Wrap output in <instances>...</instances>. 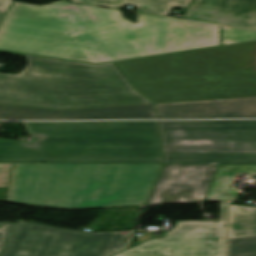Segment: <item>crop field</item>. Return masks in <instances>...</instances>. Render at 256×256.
Here are the masks:
<instances>
[{
    "label": "crop field",
    "mask_w": 256,
    "mask_h": 256,
    "mask_svg": "<svg viewBox=\"0 0 256 256\" xmlns=\"http://www.w3.org/2000/svg\"><path fill=\"white\" fill-rule=\"evenodd\" d=\"M228 256H256V237L229 239Z\"/></svg>",
    "instance_id": "obj_17"
},
{
    "label": "crop field",
    "mask_w": 256,
    "mask_h": 256,
    "mask_svg": "<svg viewBox=\"0 0 256 256\" xmlns=\"http://www.w3.org/2000/svg\"><path fill=\"white\" fill-rule=\"evenodd\" d=\"M4 16H5V15L0 14V23H1L2 19L4 18Z\"/></svg>",
    "instance_id": "obj_22"
},
{
    "label": "crop field",
    "mask_w": 256,
    "mask_h": 256,
    "mask_svg": "<svg viewBox=\"0 0 256 256\" xmlns=\"http://www.w3.org/2000/svg\"><path fill=\"white\" fill-rule=\"evenodd\" d=\"M26 55L17 75L0 74V104L81 109L151 103L113 63L91 65Z\"/></svg>",
    "instance_id": "obj_4"
},
{
    "label": "crop field",
    "mask_w": 256,
    "mask_h": 256,
    "mask_svg": "<svg viewBox=\"0 0 256 256\" xmlns=\"http://www.w3.org/2000/svg\"><path fill=\"white\" fill-rule=\"evenodd\" d=\"M256 40V31L222 26V45L244 43Z\"/></svg>",
    "instance_id": "obj_18"
},
{
    "label": "crop field",
    "mask_w": 256,
    "mask_h": 256,
    "mask_svg": "<svg viewBox=\"0 0 256 256\" xmlns=\"http://www.w3.org/2000/svg\"><path fill=\"white\" fill-rule=\"evenodd\" d=\"M254 42L115 62L154 103L256 96Z\"/></svg>",
    "instance_id": "obj_3"
},
{
    "label": "crop field",
    "mask_w": 256,
    "mask_h": 256,
    "mask_svg": "<svg viewBox=\"0 0 256 256\" xmlns=\"http://www.w3.org/2000/svg\"><path fill=\"white\" fill-rule=\"evenodd\" d=\"M182 18L256 29V0H194Z\"/></svg>",
    "instance_id": "obj_12"
},
{
    "label": "crop field",
    "mask_w": 256,
    "mask_h": 256,
    "mask_svg": "<svg viewBox=\"0 0 256 256\" xmlns=\"http://www.w3.org/2000/svg\"><path fill=\"white\" fill-rule=\"evenodd\" d=\"M49 162L163 163L158 121L49 122Z\"/></svg>",
    "instance_id": "obj_5"
},
{
    "label": "crop field",
    "mask_w": 256,
    "mask_h": 256,
    "mask_svg": "<svg viewBox=\"0 0 256 256\" xmlns=\"http://www.w3.org/2000/svg\"><path fill=\"white\" fill-rule=\"evenodd\" d=\"M13 164H0V188H8V181Z\"/></svg>",
    "instance_id": "obj_20"
},
{
    "label": "crop field",
    "mask_w": 256,
    "mask_h": 256,
    "mask_svg": "<svg viewBox=\"0 0 256 256\" xmlns=\"http://www.w3.org/2000/svg\"><path fill=\"white\" fill-rule=\"evenodd\" d=\"M31 143L0 139V162H48V122H23Z\"/></svg>",
    "instance_id": "obj_13"
},
{
    "label": "crop field",
    "mask_w": 256,
    "mask_h": 256,
    "mask_svg": "<svg viewBox=\"0 0 256 256\" xmlns=\"http://www.w3.org/2000/svg\"><path fill=\"white\" fill-rule=\"evenodd\" d=\"M256 236V208L230 205L229 238Z\"/></svg>",
    "instance_id": "obj_16"
},
{
    "label": "crop field",
    "mask_w": 256,
    "mask_h": 256,
    "mask_svg": "<svg viewBox=\"0 0 256 256\" xmlns=\"http://www.w3.org/2000/svg\"><path fill=\"white\" fill-rule=\"evenodd\" d=\"M162 165L14 163L5 201L61 209L145 205Z\"/></svg>",
    "instance_id": "obj_2"
},
{
    "label": "crop field",
    "mask_w": 256,
    "mask_h": 256,
    "mask_svg": "<svg viewBox=\"0 0 256 256\" xmlns=\"http://www.w3.org/2000/svg\"><path fill=\"white\" fill-rule=\"evenodd\" d=\"M217 166L165 164L147 205L202 201Z\"/></svg>",
    "instance_id": "obj_9"
},
{
    "label": "crop field",
    "mask_w": 256,
    "mask_h": 256,
    "mask_svg": "<svg viewBox=\"0 0 256 256\" xmlns=\"http://www.w3.org/2000/svg\"><path fill=\"white\" fill-rule=\"evenodd\" d=\"M165 163L256 164V121L159 122Z\"/></svg>",
    "instance_id": "obj_6"
},
{
    "label": "crop field",
    "mask_w": 256,
    "mask_h": 256,
    "mask_svg": "<svg viewBox=\"0 0 256 256\" xmlns=\"http://www.w3.org/2000/svg\"><path fill=\"white\" fill-rule=\"evenodd\" d=\"M16 224L0 223V256L15 228Z\"/></svg>",
    "instance_id": "obj_19"
},
{
    "label": "crop field",
    "mask_w": 256,
    "mask_h": 256,
    "mask_svg": "<svg viewBox=\"0 0 256 256\" xmlns=\"http://www.w3.org/2000/svg\"><path fill=\"white\" fill-rule=\"evenodd\" d=\"M158 118H256V97L155 104Z\"/></svg>",
    "instance_id": "obj_11"
},
{
    "label": "crop field",
    "mask_w": 256,
    "mask_h": 256,
    "mask_svg": "<svg viewBox=\"0 0 256 256\" xmlns=\"http://www.w3.org/2000/svg\"><path fill=\"white\" fill-rule=\"evenodd\" d=\"M227 202L219 221H177L164 238H151L113 256H225Z\"/></svg>",
    "instance_id": "obj_8"
},
{
    "label": "crop field",
    "mask_w": 256,
    "mask_h": 256,
    "mask_svg": "<svg viewBox=\"0 0 256 256\" xmlns=\"http://www.w3.org/2000/svg\"><path fill=\"white\" fill-rule=\"evenodd\" d=\"M1 54H7V55H13V56H19V57H25L24 54L20 53H13V52H6V51H0Z\"/></svg>",
    "instance_id": "obj_21"
},
{
    "label": "crop field",
    "mask_w": 256,
    "mask_h": 256,
    "mask_svg": "<svg viewBox=\"0 0 256 256\" xmlns=\"http://www.w3.org/2000/svg\"><path fill=\"white\" fill-rule=\"evenodd\" d=\"M240 172L256 177V165H220L205 201L238 199L240 193L228 188L235 175Z\"/></svg>",
    "instance_id": "obj_15"
},
{
    "label": "crop field",
    "mask_w": 256,
    "mask_h": 256,
    "mask_svg": "<svg viewBox=\"0 0 256 256\" xmlns=\"http://www.w3.org/2000/svg\"><path fill=\"white\" fill-rule=\"evenodd\" d=\"M145 118H156L153 104L81 110H49L0 105L1 120Z\"/></svg>",
    "instance_id": "obj_10"
},
{
    "label": "crop field",
    "mask_w": 256,
    "mask_h": 256,
    "mask_svg": "<svg viewBox=\"0 0 256 256\" xmlns=\"http://www.w3.org/2000/svg\"><path fill=\"white\" fill-rule=\"evenodd\" d=\"M13 0H0V13L5 14ZM193 0H72L74 3L119 8L126 4L139 12L168 16L173 7L188 9Z\"/></svg>",
    "instance_id": "obj_14"
},
{
    "label": "crop field",
    "mask_w": 256,
    "mask_h": 256,
    "mask_svg": "<svg viewBox=\"0 0 256 256\" xmlns=\"http://www.w3.org/2000/svg\"><path fill=\"white\" fill-rule=\"evenodd\" d=\"M220 45V26L138 14V24L115 9L56 2H12L0 24V49L101 63Z\"/></svg>",
    "instance_id": "obj_1"
},
{
    "label": "crop field",
    "mask_w": 256,
    "mask_h": 256,
    "mask_svg": "<svg viewBox=\"0 0 256 256\" xmlns=\"http://www.w3.org/2000/svg\"><path fill=\"white\" fill-rule=\"evenodd\" d=\"M63 229L19 220L2 256H104L125 247L131 232Z\"/></svg>",
    "instance_id": "obj_7"
}]
</instances>
